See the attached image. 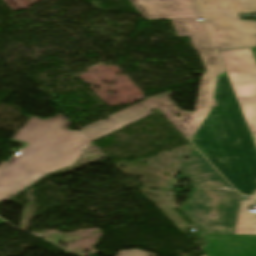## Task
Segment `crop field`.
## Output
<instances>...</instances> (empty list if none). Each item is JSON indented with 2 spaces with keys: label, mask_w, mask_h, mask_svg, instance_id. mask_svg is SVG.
Here are the masks:
<instances>
[{
  "label": "crop field",
  "mask_w": 256,
  "mask_h": 256,
  "mask_svg": "<svg viewBox=\"0 0 256 256\" xmlns=\"http://www.w3.org/2000/svg\"><path fill=\"white\" fill-rule=\"evenodd\" d=\"M193 144L239 191L256 190V134H250L225 73L218 76L211 112ZM256 205V193L252 197Z\"/></svg>",
  "instance_id": "crop-field-1"
},
{
  "label": "crop field",
  "mask_w": 256,
  "mask_h": 256,
  "mask_svg": "<svg viewBox=\"0 0 256 256\" xmlns=\"http://www.w3.org/2000/svg\"><path fill=\"white\" fill-rule=\"evenodd\" d=\"M70 122L59 112L55 118L32 116L10 140L23 144L0 170V202L45 174L71 165L89 140L81 131H70ZM3 202V201H2Z\"/></svg>",
  "instance_id": "crop-field-2"
},
{
  "label": "crop field",
  "mask_w": 256,
  "mask_h": 256,
  "mask_svg": "<svg viewBox=\"0 0 256 256\" xmlns=\"http://www.w3.org/2000/svg\"><path fill=\"white\" fill-rule=\"evenodd\" d=\"M146 19H171L178 36H190L195 50L205 64L207 72L202 76L195 112H185L176 107L168 98L172 92L148 98L189 141L198 125L209 111L215 76L222 71L213 45L195 6L194 0H130ZM175 113H181L180 118Z\"/></svg>",
  "instance_id": "crop-field-3"
},
{
  "label": "crop field",
  "mask_w": 256,
  "mask_h": 256,
  "mask_svg": "<svg viewBox=\"0 0 256 256\" xmlns=\"http://www.w3.org/2000/svg\"><path fill=\"white\" fill-rule=\"evenodd\" d=\"M191 151L182 176L191 178L195 189L183 210L203 233L233 234L241 197L193 147Z\"/></svg>",
  "instance_id": "crop-field-4"
},
{
  "label": "crop field",
  "mask_w": 256,
  "mask_h": 256,
  "mask_svg": "<svg viewBox=\"0 0 256 256\" xmlns=\"http://www.w3.org/2000/svg\"><path fill=\"white\" fill-rule=\"evenodd\" d=\"M217 50L256 46V22L238 14L256 11V0H196Z\"/></svg>",
  "instance_id": "crop-field-5"
},
{
  "label": "crop field",
  "mask_w": 256,
  "mask_h": 256,
  "mask_svg": "<svg viewBox=\"0 0 256 256\" xmlns=\"http://www.w3.org/2000/svg\"><path fill=\"white\" fill-rule=\"evenodd\" d=\"M248 128L256 133V62L250 48L218 51Z\"/></svg>",
  "instance_id": "crop-field-6"
},
{
  "label": "crop field",
  "mask_w": 256,
  "mask_h": 256,
  "mask_svg": "<svg viewBox=\"0 0 256 256\" xmlns=\"http://www.w3.org/2000/svg\"><path fill=\"white\" fill-rule=\"evenodd\" d=\"M208 256H256V236L203 234Z\"/></svg>",
  "instance_id": "crop-field-7"
},
{
  "label": "crop field",
  "mask_w": 256,
  "mask_h": 256,
  "mask_svg": "<svg viewBox=\"0 0 256 256\" xmlns=\"http://www.w3.org/2000/svg\"><path fill=\"white\" fill-rule=\"evenodd\" d=\"M156 108L149 100L142 101L120 113L108 118L107 121L99 120L98 122L88 125L81 131L92 141L107 135L137 119L145 117Z\"/></svg>",
  "instance_id": "crop-field-8"
},
{
  "label": "crop field",
  "mask_w": 256,
  "mask_h": 256,
  "mask_svg": "<svg viewBox=\"0 0 256 256\" xmlns=\"http://www.w3.org/2000/svg\"><path fill=\"white\" fill-rule=\"evenodd\" d=\"M249 200H242L234 234L256 235V213H248Z\"/></svg>",
  "instance_id": "crop-field-9"
},
{
  "label": "crop field",
  "mask_w": 256,
  "mask_h": 256,
  "mask_svg": "<svg viewBox=\"0 0 256 256\" xmlns=\"http://www.w3.org/2000/svg\"><path fill=\"white\" fill-rule=\"evenodd\" d=\"M116 256H156L139 250L120 251Z\"/></svg>",
  "instance_id": "crop-field-10"
},
{
  "label": "crop field",
  "mask_w": 256,
  "mask_h": 256,
  "mask_svg": "<svg viewBox=\"0 0 256 256\" xmlns=\"http://www.w3.org/2000/svg\"><path fill=\"white\" fill-rule=\"evenodd\" d=\"M252 49V51H253V54H254V56H255V59H256V47L255 48H251Z\"/></svg>",
  "instance_id": "crop-field-11"
},
{
  "label": "crop field",
  "mask_w": 256,
  "mask_h": 256,
  "mask_svg": "<svg viewBox=\"0 0 256 256\" xmlns=\"http://www.w3.org/2000/svg\"><path fill=\"white\" fill-rule=\"evenodd\" d=\"M4 223H6V222H4L3 220L0 219V224H4Z\"/></svg>",
  "instance_id": "crop-field-12"
},
{
  "label": "crop field",
  "mask_w": 256,
  "mask_h": 256,
  "mask_svg": "<svg viewBox=\"0 0 256 256\" xmlns=\"http://www.w3.org/2000/svg\"><path fill=\"white\" fill-rule=\"evenodd\" d=\"M4 163H5V161H2V162L0 163V167H1Z\"/></svg>",
  "instance_id": "crop-field-13"
},
{
  "label": "crop field",
  "mask_w": 256,
  "mask_h": 256,
  "mask_svg": "<svg viewBox=\"0 0 256 256\" xmlns=\"http://www.w3.org/2000/svg\"><path fill=\"white\" fill-rule=\"evenodd\" d=\"M204 256V255H203Z\"/></svg>",
  "instance_id": "crop-field-14"
}]
</instances>
